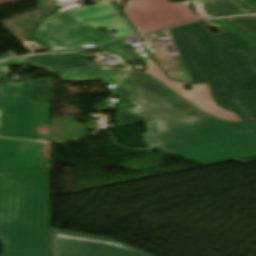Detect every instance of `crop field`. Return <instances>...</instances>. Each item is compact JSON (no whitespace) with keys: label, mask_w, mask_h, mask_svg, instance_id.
<instances>
[{"label":"crop field","mask_w":256,"mask_h":256,"mask_svg":"<svg viewBox=\"0 0 256 256\" xmlns=\"http://www.w3.org/2000/svg\"><path fill=\"white\" fill-rule=\"evenodd\" d=\"M142 134L157 148L209 166L256 155L255 122H225L208 114L146 123Z\"/></svg>","instance_id":"1"},{"label":"crop field","mask_w":256,"mask_h":256,"mask_svg":"<svg viewBox=\"0 0 256 256\" xmlns=\"http://www.w3.org/2000/svg\"><path fill=\"white\" fill-rule=\"evenodd\" d=\"M49 209V170L0 173L2 256H49Z\"/></svg>","instance_id":"2"},{"label":"crop field","mask_w":256,"mask_h":256,"mask_svg":"<svg viewBox=\"0 0 256 256\" xmlns=\"http://www.w3.org/2000/svg\"><path fill=\"white\" fill-rule=\"evenodd\" d=\"M212 34L201 21L169 29L173 43L194 82L209 81L218 103L228 110L238 111L245 120L250 118L234 103L239 83L253 75L244 56L234 49L250 45L225 29Z\"/></svg>","instance_id":"3"},{"label":"crop field","mask_w":256,"mask_h":256,"mask_svg":"<svg viewBox=\"0 0 256 256\" xmlns=\"http://www.w3.org/2000/svg\"><path fill=\"white\" fill-rule=\"evenodd\" d=\"M114 96L126 97L137 107L116 111L118 126L204 113L150 75L127 73Z\"/></svg>","instance_id":"4"},{"label":"crop field","mask_w":256,"mask_h":256,"mask_svg":"<svg viewBox=\"0 0 256 256\" xmlns=\"http://www.w3.org/2000/svg\"><path fill=\"white\" fill-rule=\"evenodd\" d=\"M51 103L33 102V82H21V95L8 99V83L1 84L0 136L47 141L35 126H50Z\"/></svg>","instance_id":"5"},{"label":"crop field","mask_w":256,"mask_h":256,"mask_svg":"<svg viewBox=\"0 0 256 256\" xmlns=\"http://www.w3.org/2000/svg\"><path fill=\"white\" fill-rule=\"evenodd\" d=\"M82 5L63 7L53 16L43 20L35 37L51 46V50H71L82 47L84 44H101L114 40L108 34L69 15L70 11Z\"/></svg>","instance_id":"6"},{"label":"crop field","mask_w":256,"mask_h":256,"mask_svg":"<svg viewBox=\"0 0 256 256\" xmlns=\"http://www.w3.org/2000/svg\"><path fill=\"white\" fill-rule=\"evenodd\" d=\"M139 34L198 19L188 2L167 0H127L122 10Z\"/></svg>","instance_id":"7"},{"label":"crop field","mask_w":256,"mask_h":256,"mask_svg":"<svg viewBox=\"0 0 256 256\" xmlns=\"http://www.w3.org/2000/svg\"><path fill=\"white\" fill-rule=\"evenodd\" d=\"M52 256H149L114 239L52 228Z\"/></svg>","instance_id":"8"},{"label":"crop field","mask_w":256,"mask_h":256,"mask_svg":"<svg viewBox=\"0 0 256 256\" xmlns=\"http://www.w3.org/2000/svg\"><path fill=\"white\" fill-rule=\"evenodd\" d=\"M132 50L140 55L142 58H144L147 61L148 65L146 71L136 73L150 74L154 79H156L157 81H159L160 83H162L163 85H165L166 87H168L169 89H171L172 91H174L175 93H177L178 95L188 100L189 102H191L208 114L214 115L226 121H242L239 119L237 113L226 111L214 102L211 96L209 83H204L201 85H189L171 81L164 74L160 66L150 59L144 47L133 48ZM186 85H189L191 89H184Z\"/></svg>","instance_id":"9"},{"label":"crop field","mask_w":256,"mask_h":256,"mask_svg":"<svg viewBox=\"0 0 256 256\" xmlns=\"http://www.w3.org/2000/svg\"><path fill=\"white\" fill-rule=\"evenodd\" d=\"M44 143L3 139L0 171L45 168L48 160L39 154Z\"/></svg>","instance_id":"10"},{"label":"crop field","mask_w":256,"mask_h":256,"mask_svg":"<svg viewBox=\"0 0 256 256\" xmlns=\"http://www.w3.org/2000/svg\"><path fill=\"white\" fill-rule=\"evenodd\" d=\"M95 55H85L83 51L57 53V54H40L24 57L32 66H39L48 69L51 72L63 71L76 68H91L101 70L127 71L128 69H112L104 67L106 64H93L87 60Z\"/></svg>","instance_id":"11"},{"label":"crop field","mask_w":256,"mask_h":256,"mask_svg":"<svg viewBox=\"0 0 256 256\" xmlns=\"http://www.w3.org/2000/svg\"><path fill=\"white\" fill-rule=\"evenodd\" d=\"M204 18L253 13L236 0H198Z\"/></svg>","instance_id":"12"},{"label":"crop field","mask_w":256,"mask_h":256,"mask_svg":"<svg viewBox=\"0 0 256 256\" xmlns=\"http://www.w3.org/2000/svg\"><path fill=\"white\" fill-rule=\"evenodd\" d=\"M85 135V124H79L75 116L51 119V141L72 139Z\"/></svg>","instance_id":"13"},{"label":"crop field","mask_w":256,"mask_h":256,"mask_svg":"<svg viewBox=\"0 0 256 256\" xmlns=\"http://www.w3.org/2000/svg\"><path fill=\"white\" fill-rule=\"evenodd\" d=\"M124 74L125 73L97 70H79L60 73L63 80L88 81L93 79H103L107 84H116Z\"/></svg>","instance_id":"14"},{"label":"crop field","mask_w":256,"mask_h":256,"mask_svg":"<svg viewBox=\"0 0 256 256\" xmlns=\"http://www.w3.org/2000/svg\"><path fill=\"white\" fill-rule=\"evenodd\" d=\"M85 22L99 29L112 27L117 33L111 35L116 37L117 39L131 35V33L117 16L85 20Z\"/></svg>","instance_id":"15"},{"label":"crop field","mask_w":256,"mask_h":256,"mask_svg":"<svg viewBox=\"0 0 256 256\" xmlns=\"http://www.w3.org/2000/svg\"><path fill=\"white\" fill-rule=\"evenodd\" d=\"M68 13L81 20L114 15L109 7L103 3H97L94 6H82Z\"/></svg>","instance_id":"16"},{"label":"crop field","mask_w":256,"mask_h":256,"mask_svg":"<svg viewBox=\"0 0 256 256\" xmlns=\"http://www.w3.org/2000/svg\"><path fill=\"white\" fill-rule=\"evenodd\" d=\"M95 50L117 55L122 58L124 63L144 60L119 41L104 45Z\"/></svg>","instance_id":"17"},{"label":"crop field","mask_w":256,"mask_h":256,"mask_svg":"<svg viewBox=\"0 0 256 256\" xmlns=\"http://www.w3.org/2000/svg\"><path fill=\"white\" fill-rule=\"evenodd\" d=\"M236 101L256 121V91L238 93Z\"/></svg>","instance_id":"18"},{"label":"crop field","mask_w":256,"mask_h":256,"mask_svg":"<svg viewBox=\"0 0 256 256\" xmlns=\"http://www.w3.org/2000/svg\"><path fill=\"white\" fill-rule=\"evenodd\" d=\"M228 20L256 39V16L228 18Z\"/></svg>","instance_id":"19"},{"label":"crop field","mask_w":256,"mask_h":256,"mask_svg":"<svg viewBox=\"0 0 256 256\" xmlns=\"http://www.w3.org/2000/svg\"><path fill=\"white\" fill-rule=\"evenodd\" d=\"M207 22L211 23L213 26L222 25L225 28H227L229 31H231L232 33H234L235 35L240 37L245 42L251 44L252 46H256V41L255 40H253L252 38H250L249 36L244 34L242 31H240L239 29H237L236 27H234L233 25H231L229 22H227L224 19L210 20V21H207Z\"/></svg>","instance_id":"20"},{"label":"crop field","mask_w":256,"mask_h":256,"mask_svg":"<svg viewBox=\"0 0 256 256\" xmlns=\"http://www.w3.org/2000/svg\"><path fill=\"white\" fill-rule=\"evenodd\" d=\"M18 64H23V61L20 58L0 62V78H4L10 75V72L8 71L6 66L18 65Z\"/></svg>","instance_id":"21"},{"label":"crop field","mask_w":256,"mask_h":256,"mask_svg":"<svg viewBox=\"0 0 256 256\" xmlns=\"http://www.w3.org/2000/svg\"><path fill=\"white\" fill-rule=\"evenodd\" d=\"M238 52L249 58L253 72L256 73V48L242 49L238 50Z\"/></svg>","instance_id":"22"},{"label":"crop field","mask_w":256,"mask_h":256,"mask_svg":"<svg viewBox=\"0 0 256 256\" xmlns=\"http://www.w3.org/2000/svg\"><path fill=\"white\" fill-rule=\"evenodd\" d=\"M254 75L253 79L239 86L238 92L256 90V74Z\"/></svg>","instance_id":"23"},{"label":"crop field","mask_w":256,"mask_h":256,"mask_svg":"<svg viewBox=\"0 0 256 256\" xmlns=\"http://www.w3.org/2000/svg\"><path fill=\"white\" fill-rule=\"evenodd\" d=\"M20 94V82L9 83V98H15Z\"/></svg>","instance_id":"24"},{"label":"crop field","mask_w":256,"mask_h":256,"mask_svg":"<svg viewBox=\"0 0 256 256\" xmlns=\"http://www.w3.org/2000/svg\"><path fill=\"white\" fill-rule=\"evenodd\" d=\"M146 40H154V39H161V38H168L166 32H160L155 34H150L145 36Z\"/></svg>","instance_id":"25"},{"label":"crop field","mask_w":256,"mask_h":256,"mask_svg":"<svg viewBox=\"0 0 256 256\" xmlns=\"http://www.w3.org/2000/svg\"><path fill=\"white\" fill-rule=\"evenodd\" d=\"M256 12V2L251 0H239ZM245 5V6H246Z\"/></svg>","instance_id":"26"},{"label":"crop field","mask_w":256,"mask_h":256,"mask_svg":"<svg viewBox=\"0 0 256 256\" xmlns=\"http://www.w3.org/2000/svg\"><path fill=\"white\" fill-rule=\"evenodd\" d=\"M250 132L256 133V130L255 131H250ZM255 160H256V156L255 157H250V158L239 159V160H233V161L240 162V163H245V162H250V161H255Z\"/></svg>","instance_id":"27"},{"label":"crop field","mask_w":256,"mask_h":256,"mask_svg":"<svg viewBox=\"0 0 256 256\" xmlns=\"http://www.w3.org/2000/svg\"><path fill=\"white\" fill-rule=\"evenodd\" d=\"M11 56H15V54H14L12 51L9 52V53H7L6 55L1 56V57H0V60H1V59H4V58L11 57Z\"/></svg>","instance_id":"28"},{"label":"crop field","mask_w":256,"mask_h":256,"mask_svg":"<svg viewBox=\"0 0 256 256\" xmlns=\"http://www.w3.org/2000/svg\"><path fill=\"white\" fill-rule=\"evenodd\" d=\"M123 20H124V22L130 27V29L133 31V33L135 34V32H134V30L132 29V27L128 24V22L124 19V17L121 15L120 16Z\"/></svg>","instance_id":"29"},{"label":"crop field","mask_w":256,"mask_h":256,"mask_svg":"<svg viewBox=\"0 0 256 256\" xmlns=\"http://www.w3.org/2000/svg\"><path fill=\"white\" fill-rule=\"evenodd\" d=\"M113 9H114V11L117 13V14H119L120 12L113 6V4H109Z\"/></svg>","instance_id":"30"},{"label":"crop field","mask_w":256,"mask_h":256,"mask_svg":"<svg viewBox=\"0 0 256 256\" xmlns=\"http://www.w3.org/2000/svg\"><path fill=\"white\" fill-rule=\"evenodd\" d=\"M152 48H153V50H155V49H161L162 46H161V45H158V46H154V47H152Z\"/></svg>","instance_id":"31"}]
</instances>
